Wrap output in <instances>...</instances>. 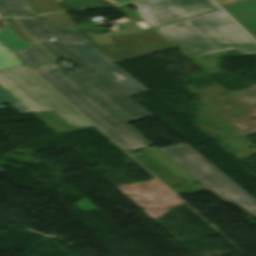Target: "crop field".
Masks as SVG:
<instances>
[{
    "instance_id": "crop-field-7",
    "label": "crop field",
    "mask_w": 256,
    "mask_h": 256,
    "mask_svg": "<svg viewBox=\"0 0 256 256\" xmlns=\"http://www.w3.org/2000/svg\"><path fill=\"white\" fill-rule=\"evenodd\" d=\"M129 95L145 90L88 41L63 42Z\"/></svg>"
},
{
    "instance_id": "crop-field-16",
    "label": "crop field",
    "mask_w": 256,
    "mask_h": 256,
    "mask_svg": "<svg viewBox=\"0 0 256 256\" xmlns=\"http://www.w3.org/2000/svg\"><path fill=\"white\" fill-rule=\"evenodd\" d=\"M17 65L22 64L0 45V69Z\"/></svg>"
},
{
    "instance_id": "crop-field-2",
    "label": "crop field",
    "mask_w": 256,
    "mask_h": 256,
    "mask_svg": "<svg viewBox=\"0 0 256 256\" xmlns=\"http://www.w3.org/2000/svg\"><path fill=\"white\" fill-rule=\"evenodd\" d=\"M36 73L123 148L152 145L58 66Z\"/></svg>"
},
{
    "instance_id": "crop-field-14",
    "label": "crop field",
    "mask_w": 256,
    "mask_h": 256,
    "mask_svg": "<svg viewBox=\"0 0 256 256\" xmlns=\"http://www.w3.org/2000/svg\"><path fill=\"white\" fill-rule=\"evenodd\" d=\"M36 14L63 10L55 0H26Z\"/></svg>"
},
{
    "instance_id": "crop-field-3",
    "label": "crop field",
    "mask_w": 256,
    "mask_h": 256,
    "mask_svg": "<svg viewBox=\"0 0 256 256\" xmlns=\"http://www.w3.org/2000/svg\"><path fill=\"white\" fill-rule=\"evenodd\" d=\"M26 68L0 70V85L30 112L53 110L71 126H93Z\"/></svg>"
},
{
    "instance_id": "crop-field-19",
    "label": "crop field",
    "mask_w": 256,
    "mask_h": 256,
    "mask_svg": "<svg viewBox=\"0 0 256 256\" xmlns=\"http://www.w3.org/2000/svg\"><path fill=\"white\" fill-rule=\"evenodd\" d=\"M104 1H106L109 4L115 6V5H119V4H122L124 2L132 1V0H104Z\"/></svg>"
},
{
    "instance_id": "crop-field-13",
    "label": "crop field",
    "mask_w": 256,
    "mask_h": 256,
    "mask_svg": "<svg viewBox=\"0 0 256 256\" xmlns=\"http://www.w3.org/2000/svg\"><path fill=\"white\" fill-rule=\"evenodd\" d=\"M0 42L11 52L33 47L30 42H22L12 29L0 31Z\"/></svg>"
},
{
    "instance_id": "crop-field-4",
    "label": "crop field",
    "mask_w": 256,
    "mask_h": 256,
    "mask_svg": "<svg viewBox=\"0 0 256 256\" xmlns=\"http://www.w3.org/2000/svg\"><path fill=\"white\" fill-rule=\"evenodd\" d=\"M160 150L221 201L234 204L244 213L256 217V199L188 144L173 145Z\"/></svg>"
},
{
    "instance_id": "crop-field-21",
    "label": "crop field",
    "mask_w": 256,
    "mask_h": 256,
    "mask_svg": "<svg viewBox=\"0 0 256 256\" xmlns=\"http://www.w3.org/2000/svg\"><path fill=\"white\" fill-rule=\"evenodd\" d=\"M35 44V43H34ZM36 45V44H35ZM38 46V45H37ZM39 47V46H38ZM40 48V47H39ZM41 49V48H40ZM42 50V49H41ZM44 51V50H43ZM45 52V51H44ZM46 53V52H45ZM47 54V53H46ZM50 58H52L55 62H57V60H55L53 57H51L49 54H47Z\"/></svg>"
},
{
    "instance_id": "crop-field-6",
    "label": "crop field",
    "mask_w": 256,
    "mask_h": 256,
    "mask_svg": "<svg viewBox=\"0 0 256 256\" xmlns=\"http://www.w3.org/2000/svg\"><path fill=\"white\" fill-rule=\"evenodd\" d=\"M135 10L152 27L217 8L210 0H142Z\"/></svg>"
},
{
    "instance_id": "crop-field-20",
    "label": "crop field",
    "mask_w": 256,
    "mask_h": 256,
    "mask_svg": "<svg viewBox=\"0 0 256 256\" xmlns=\"http://www.w3.org/2000/svg\"><path fill=\"white\" fill-rule=\"evenodd\" d=\"M220 6L231 3L236 0H215Z\"/></svg>"
},
{
    "instance_id": "crop-field-10",
    "label": "crop field",
    "mask_w": 256,
    "mask_h": 256,
    "mask_svg": "<svg viewBox=\"0 0 256 256\" xmlns=\"http://www.w3.org/2000/svg\"><path fill=\"white\" fill-rule=\"evenodd\" d=\"M13 54L32 70L55 64L36 47L14 52Z\"/></svg>"
},
{
    "instance_id": "crop-field-15",
    "label": "crop field",
    "mask_w": 256,
    "mask_h": 256,
    "mask_svg": "<svg viewBox=\"0 0 256 256\" xmlns=\"http://www.w3.org/2000/svg\"><path fill=\"white\" fill-rule=\"evenodd\" d=\"M37 18H41V19L52 21V22H56V23H59L61 25L67 26L69 28H76V26L73 24V22L70 20V18L65 13L51 14V15H41Z\"/></svg>"
},
{
    "instance_id": "crop-field-17",
    "label": "crop field",
    "mask_w": 256,
    "mask_h": 256,
    "mask_svg": "<svg viewBox=\"0 0 256 256\" xmlns=\"http://www.w3.org/2000/svg\"><path fill=\"white\" fill-rule=\"evenodd\" d=\"M0 103H11L20 113L29 112L1 87H0Z\"/></svg>"
},
{
    "instance_id": "crop-field-11",
    "label": "crop field",
    "mask_w": 256,
    "mask_h": 256,
    "mask_svg": "<svg viewBox=\"0 0 256 256\" xmlns=\"http://www.w3.org/2000/svg\"><path fill=\"white\" fill-rule=\"evenodd\" d=\"M145 151L158 160L162 165H164L169 171H171L175 176L181 177L188 183L196 181L189 174H187L182 168H180L176 163H174L170 158L163 154L157 147L144 148Z\"/></svg>"
},
{
    "instance_id": "crop-field-12",
    "label": "crop field",
    "mask_w": 256,
    "mask_h": 256,
    "mask_svg": "<svg viewBox=\"0 0 256 256\" xmlns=\"http://www.w3.org/2000/svg\"><path fill=\"white\" fill-rule=\"evenodd\" d=\"M1 15H34L23 0H0Z\"/></svg>"
},
{
    "instance_id": "crop-field-9",
    "label": "crop field",
    "mask_w": 256,
    "mask_h": 256,
    "mask_svg": "<svg viewBox=\"0 0 256 256\" xmlns=\"http://www.w3.org/2000/svg\"><path fill=\"white\" fill-rule=\"evenodd\" d=\"M223 9L256 39V0H244Z\"/></svg>"
},
{
    "instance_id": "crop-field-18",
    "label": "crop field",
    "mask_w": 256,
    "mask_h": 256,
    "mask_svg": "<svg viewBox=\"0 0 256 256\" xmlns=\"http://www.w3.org/2000/svg\"><path fill=\"white\" fill-rule=\"evenodd\" d=\"M5 19L10 24V26L14 29V31L17 33V35L20 37L21 40L32 41L26 36V34L18 26L14 18H5Z\"/></svg>"
},
{
    "instance_id": "crop-field-5",
    "label": "crop field",
    "mask_w": 256,
    "mask_h": 256,
    "mask_svg": "<svg viewBox=\"0 0 256 256\" xmlns=\"http://www.w3.org/2000/svg\"><path fill=\"white\" fill-rule=\"evenodd\" d=\"M37 43L55 58L71 60L79 65L82 69L69 73L129 122L152 116L128 94H126L94 67H92L79 55L73 52L70 48L64 45L65 43Z\"/></svg>"
},
{
    "instance_id": "crop-field-22",
    "label": "crop field",
    "mask_w": 256,
    "mask_h": 256,
    "mask_svg": "<svg viewBox=\"0 0 256 256\" xmlns=\"http://www.w3.org/2000/svg\"><path fill=\"white\" fill-rule=\"evenodd\" d=\"M2 170H4V169L0 168V171H2Z\"/></svg>"
},
{
    "instance_id": "crop-field-1",
    "label": "crop field",
    "mask_w": 256,
    "mask_h": 256,
    "mask_svg": "<svg viewBox=\"0 0 256 256\" xmlns=\"http://www.w3.org/2000/svg\"><path fill=\"white\" fill-rule=\"evenodd\" d=\"M188 58L236 49L256 54V43L221 9L156 29Z\"/></svg>"
},
{
    "instance_id": "crop-field-8",
    "label": "crop field",
    "mask_w": 256,
    "mask_h": 256,
    "mask_svg": "<svg viewBox=\"0 0 256 256\" xmlns=\"http://www.w3.org/2000/svg\"><path fill=\"white\" fill-rule=\"evenodd\" d=\"M16 19L33 40H46L51 37L63 41L87 40L78 30H71L37 19Z\"/></svg>"
}]
</instances>
